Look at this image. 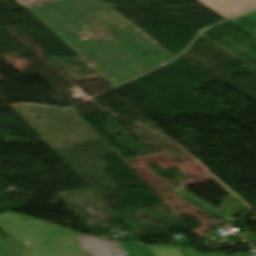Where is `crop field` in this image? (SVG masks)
Instances as JSON below:
<instances>
[{"mask_svg":"<svg viewBox=\"0 0 256 256\" xmlns=\"http://www.w3.org/2000/svg\"><path fill=\"white\" fill-rule=\"evenodd\" d=\"M0 227L30 246L29 256H86L70 229L8 212Z\"/></svg>","mask_w":256,"mask_h":256,"instance_id":"1","label":"crop field"},{"mask_svg":"<svg viewBox=\"0 0 256 256\" xmlns=\"http://www.w3.org/2000/svg\"><path fill=\"white\" fill-rule=\"evenodd\" d=\"M87 256H116L123 254L119 241L106 240L94 236L78 238Z\"/></svg>","mask_w":256,"mask_h":256,"instance_id":"2","label":"crop field"},{"mask_svg":"<svg viewBox=\"0 0 256 256\" xmlns=\"http://www.w3.org/2000/svg\"><path fill=\"white\" fill-rule=\"evenodd\" d=\"M220 15L229 19L256 9V0H199Z\"/></svg>","mask_w":256,"mask_h":256,"instance_id":"3","label":"crop field"},{"mask_svg":"<svg viewBox=\"0 0 256 256\" xmlns=\"http://www.w3.org/2000/svg\"><path fill=\"white\" fill-rule=\"evenodd\" d=\"M27 248L13 238L0 241V256H26Z\"/></svg>","mask_w":256,"mask_h":256,"instance_id":"4","label":"crop field"},{"mask_svg":"<svg viewBox=\"0 0 256 256\" xmlns=\"http://www.w3.org/2000/svg\"><path fill=\"white\" fill-rule=\"evenodd\" d=\"M178 193H180L181 195H183L184 197L188 198L189 200H191L192 202L196 203L197 205H199L200 207L208 210L209 212L219 216L220 218L228 221V222H234L237 221L234 218L230 217L229 215L223 213L222 211L218 210L217 208L213 207L212 205L208 204L207 202L201 200L200 198L196 197L195 195L181 189V188H176V189H172Z\"/></svg>","mask_w":256,"mask_h":256,"instance_id":"5","label":"crop field"},{"mask_svg":"<svg viewBox=\"0 0 256 256\" xmlns=\"http://www.w3.org/2000/svg\"><path fill=\"white\" fill-rule=\"evenodd\" d=\"M156 256H182L180 250L176 246L157 245L147 246Z\"/></svg>","mask_w":256,"mask_h":256,"instance_id":"6","label":"crop field"},{"mask_svg":"<svg viewBox=\"0 0 256 256\" xmlns=\"http://www.w3.org/2000/svg\"><path fill=\"white\" fill-rule=\"evenodd\" d=\"M21 5H23L26 9L60 1V0H17Z\"/></svg>","mask_w":256,"mask_h":256,"instance_id":"7","label":"crop field"},{"mask_svg":"<svg viewBox=\"0 0 256 256\" xmlns=\"http://www.w3.org/2000/svg\"><path fill=\"white\" fill-rule=\"evenodd\" d=\"M185 256H215L213 253L198 254L197 251L190 248H182Z\"/></svg>","mask_w":256,"mask_h":256,"instance_id":"8","label":"crop field"},{"mask_svg":"<svg viewBox=\"0 0 256 256\" xmlns=\"http://www.w3.org/2000/svg\"><path fill=\"white\" fill-rule=\"evenodd\" d=\"M214 254L216 256H252V255H256V252H254V253H247V254L237 253V254H233V255H225L223 253L214 252Z\"/></svg>","mask_w":256,"mask_h":256,"instance_id":"9","label":"crop field"}]
</instances>
